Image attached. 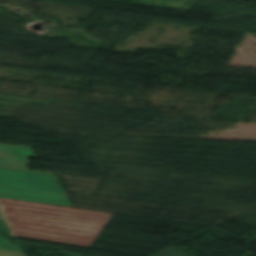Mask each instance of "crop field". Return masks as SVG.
<instances>
[{
    "mask_svg": "<svg viewBox=\"0 0 256 256\" xmlns=\"http://www.w3.org/2000/svg\"><path fill=\"white\" fill-rule=\"evenodd\" d=\"M0 192L65 202L0 194L3 198L72 207L52 174L0 169Z\"/></svg>",
    "mask_w": 256,
    "mask_h": 256,
    "instance_id": "crop-field-2",
    "label": "crop field"
},
{
    "mask_svg": "<svg viewBox=\"0 0 256 256\" xmlns=\"http://www.w3.org/2000/svg\"><path fill=\"white\" fill-rule=\"evenodd\" d=\"M0 154L36 158L30 147L0 144Z\"/></svg>",
    "mask_w": 256,
    "mask_h": 256,
    "instance_id": "crop-field-4",
    "label": "crop field"
},
{
    "mask_svg": "<svg viewBox=\"0 0 256 256\" xmlns=\"http://www.w3.org/2000/svg\"><path fill=\"white\" fill-rule=\"evenodd\" d=\"M0 213L16 237L90 248L111 213L0 198Z\"/></svg>",
    "mask_w": 256,
    "mask_h": 256,
    "instance_id": "crop-field-1",
    "label": "crop field"
},
{
    "mask_svg": "<svg viewBox=\"0 0 256 256\" xmlns=\"http://www.w3.org/2000/svg\"><path fill=\"white\" fill-rule=\"evenodd\" d=\"M156 256H191V255L172 247Z\"/></svg>",
    "mask_w": 256,
    "mask_h": 256,
    "instance_id": "crop-field-6",
    "label": "crop field"
},
{
    "mask_svg": "<svg viewBox=\"0 0 256 256\" xmlns=\"http://www.w3.org/2000/svg\"><path fill=\"white\" fill-rule=\"evenodd\" d=\"M0 234L14 236V234L10 231L5 220L0 219ZM0 250L14 251V252H22L21 247L10 245L7 239H3L0 237Z\"/></svg>",
    "mask_w": 256,
    "mask_h": 256,
    "instance_id": "crop-field-5",
    "label": "crop field"
},
{
    "mask_svg": "<svg viewBox=\"0 0 256 256\" xmlns=\"http://www.w3.org/2000/svg\"><path fill=\"white\" fill-rule=\"evenodd\" d=\"M0 168L28 171V158L0 155Z\"/></svg>",
    "mask_w": 256,
    "mask_h": 256,
    "instance_id": "crop-field-3",
    "label": "crop field"
}]
</instances>
